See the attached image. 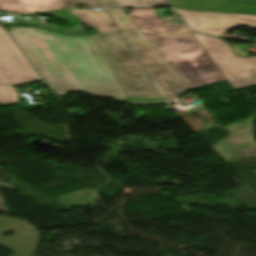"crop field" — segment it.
<instances>
[{"label":"crop field","mask_w":256,"mask_h":256,"mask_svg":"<svg viewBox=\"0 0 256 256\" xmlns=\"http://www.w3.org/2000/svg\"><path fill=\"white\" fill-rule=\"evenodd\" d=\"M191 29L219 36L242 24L256 28V17L178 11Z\"/></svg>","instance_id":"obj_7"},{"label":"crop field","mask_w":256,"mask_h":256,"mask_svg":"<svg viewBox=\"0 0 256 256\" xmlns=\"http://www.w3.org/2000/svg\"><path fill=\"white\" fill-rule=\"evenodd\" d=\"M39 80L41 78L15 43L0 28V84H21Z\"/></svg>","instance_id":"obj_6"},{"label":"crop field","mask_w":256,"mask_h":256,"mask_svg":"<svg viewBox=\"0 0 256 256\" xmlns=\"http://www.w3.org/2000/svg\"><path fill=\"white\" fill-rule=\"evenodd\" d=\"M69 8L73 4H85L90 7H101L95 0H62ZM103 7L119 6L115 0H97Z\"/></svg>","instance_id":"obj_16"},{"label":"crop field","mask_w":256,"mask_h":256,"mask_svg":"<svg viewBox=\"0 0 256 256\" xmlns=\"http://www.w3.org/2000/svg\"><path fill=\"white\" fill-rule=\"evenodd\" d=\"M42 14L54 16L60 20L65 21L69 26L66 28L57 27L53 24H46L42 20H38V19H26V20H18V21L31 22V23L35 24L36 26L55 30V31L65 33V34H85L83 29L81 28L80 20L73 13L72 10H64L62 12L53 11V12H46V13H42Z\"/></svg>","instance_id":"obj_11"},{"label":"crop field","mask_w":256,"mask_h":256,"mask_svg":"<svg viewBox=\"0 0 256 256\" xmlns=\"http://www.w3.org/2000/svg\"><path fill=\"white\" fill-rule=\"evenodd\" d=\"M11 34L57 96L81 92L122 103L165 104L127 97L92 36H63L34 26H13Z\"/></svg>","instance_id":"obj_1"},{"label":"crop field","mask_w":256,"mask_h":256,"mask_svg":"<svg viewBox=\"0 0 256 256\" xmlns=\"http://www.w3.org/2000/svg\"><path fill=\"white\" fill-rule=\"evenodd\" d=\"M193 34L236 90L256 86V57L243 59L224 40Z\"/></svg>","instance_id":"obj_5"},{"label":"crop field","mask_w":256,"mask_h":256,"mask_svg":"<svg viewBox=\"0 0 256 256\" xmlns=\"http://www.w3.org/2000/svg\"><path fill=\"white\" fill-rule=\"evenodd\" d=\"M68 8L61 0H0V10L19 13L43 12Z\"/></svg>","instance_id":"obj_10"},{"label":"crop field","mask_w":256,"mask_h":256,"mask_svg":"<svg viewBox=\"0 0 256 256\" xmlns=\"http://www.w3.org/2000/svg\"><path fill=\"white\" fill-rule=\"evenodd\" d=\"M120 6H144V7H161L168 5L167 0H116Z\"/></svg>","instance_id":"obj_13"},{"label":"crop field","mask_w":256,"mask_h":256,"mask_svg":"<svg viewBox=\"0 0 256 256\" xmlns=\"http://www.w3.org/2000/svg\"><path fill=\"white\" fill-rule=\"evenodd\" d=\"M128 16L138 27L146 29L164 32L171 35L184 34L190 31L185 23H172L171 21L174 20L173 17H167L169 20H165V18L159 19L153 9H134L128 14Z\"/></svg>","instance_id":"obj_9"},{"label":"crop field","mask_w":256,"mask_h":256,"mask_svg":"<svg viewBox=\"0 0 256 256\" xmlns=\"http://www.w3.org/2000/svg\"><path fill=\"white\" fill-rule=\"evenodd\" d=\"M122 33L163 97L178 98L189 89L139 28L123 30Z\"/></svg>","instance_id":"obj_4"},{"label":"crop field","mask_w":256,"mask_h":256,"mask_svg":"<svg viewBox=\"0 0 256 256\" xmlns=\"http://www.w3.org/2000/svg\"><path fill=\"white\" fill-rule=\"evenodd\" d=\"M73 11L83 23L97 29L99 33L117 30L110 15L105 9L98 11H93L91 9Z\"/></svg>","instance_id":"obj_12"},{"label":"crop field","mask_w":256,"mask_h":256,"mask_svg":"<svg viewBox=\"0 0 256 256\" xmlns=\"http://www.w3.org/2000/svg\"><path fill=\"white\" fill-rule=\"evenodd\" d=\"M120 30L137 27L122 9H109Z\"/></svg>","instance_id":"obj_15"},{"label":"crop field","mask_w":256,"mask_h":256,"mask_svg":"<svg viewBox=\"0 0 256 256\" xmlns=\"http://www.w3.org/2000/svg\"><path fill=\"white\" fill-rule=\"evenodd\" d=\"M140 29L189 88L226 79L192 32L182 36H169Z\"/></svg>","instance_id":"obj_2"},{"label":"crop field","mask_w":256,"mask_h":256,"mask_svg":"<svg viewBox=\"0 0 256 256\" xmlns=\"http://www.w3.org/2000/svg\"><path fill=\"white\" fill-rule=\"evenodd\" d=\"M18 103V94L13 86H0V106Z\"/></svg>","instance_id":"obj_14"},{"label":"crop field","mask_w":256,"mask_h":256,"mask_svg":"<svg viewBox=\"0 0 256 256\" xmlns=\"http://www.w3.org/2000/svg\"><path fill=\"white\" fill-rule=\"evenodd\" d=\"M93 38L127 96L159 98L119 31Z\"/></svg>","instance_id":"obj_3"},{"label":"crop field","mask_w":256,"mask_h":256,"mask_svg":"<svg viewBox=\"0 0 256 256\" xmlns=\"http://www.w3.org/2000/svg\"><path fill=\"white\" fill-rule=\"evenodd\" d=\"M175 8L256 15V0H170Z\"/></svg>","instance_id":"obj_8"}]
</instances>
